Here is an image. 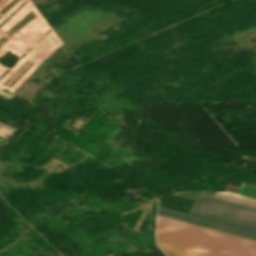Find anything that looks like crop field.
Instances as JSON below:
<instances>
[{
  "label": "crop field",
  "mask_w": 256,
  "mask_h": 256,
  "mask_svg": "<svg viewBox=\"0 0 256 256\" xmlns=\"http://www.w3.org/2000/svg\"><path fill=\"white\" fill-rule=\"evenodd\" d=\"M156 240L211 256H256L255 241L159 215Z\"/></svg>",
  "instance_id": "obj_1"
},
{
  "label": "crop field",
  "mask_w": 256,
  "mask_h": 256,
  "mask_svg": "<svg viewBox=\"0 0 256 256\" xmlns=\"http://www.w3.org/2000/svg\"><path fill=\"white\" fill-rule=\"evenodd\" d=\"M158 214L256 241V209L200 195L190 215L159 208Z\"/></svg>",
  "instance_id": "obj_2"
},
{
  "label": "crop field",
  "mask_w": 256,
  "mask_h": 256,
  "mask_svg": "<svg viewBox=\"0 0 256 256\" xmlns=\"http://www.w3.org/2000/svg\"><path fill=\"white\" fill-rule=\"evenodd\" d=\"M216 197L256 208V199L245 197L235 193H231L227 191L218 192Z\"/></svg>",
  "instance_id": "obj_3"
},
{
  "label": "crop field",
  "mask_w": 256,
  "mask_h": 256,
  "mask_svg": "<svg viewBox=\"0 0 256 256\" xmlns=\"http://www.w3.org/2000/svg\"><path fill=\"white\" fill-rule=\"evenodd\" d=\"M160 248L168 255V256H208L196 252H192L189 250L177 248L174 246L158 243Z\"/></svg>",
  "instance_id": "obj_4"
}]
</instances>
